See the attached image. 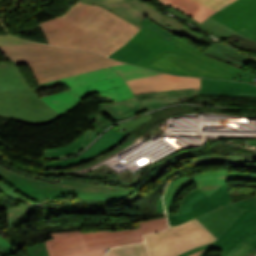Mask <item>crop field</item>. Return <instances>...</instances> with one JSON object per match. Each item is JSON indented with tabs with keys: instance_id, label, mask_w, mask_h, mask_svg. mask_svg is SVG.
Wrapping results in <instances>:
<instances>
[{
	"instance_id": "c035e120",
	"label": "crop field",
	"mask_w": 256,
	"mask_h": 256,
	"mask_svg": "<svg viewBox=\"0 0 256 256\" xmlns=\"http://www.w3.org/2000/svg\"><path fill=\"white\" fill-rule=\"evenodd\" d=\"M204 251V250H203ZM203 251H199V252H197V253H194V254H192V255H190V256H198L201 252H203Z\"/></svg>"
},
{
	"instance_id": "5866460e",
	"label": "crop field",
	"mask_w": 256,
	"mask_h": 256,
	"mask_svg": "<svg viewBox=\"0 0 256 256\" xmlns=\"http://www.w3.org/2000/svg\"><path fill=\"white\" fill-rule=\"evenodd\" d=\"M29 256H48L44 242L27 247Z\"/></svg>"
},
{
	"instance_id": "750c4746",
	"label": "crop field",
	"mask_w": 256,
	"mask_h": 256,
	"mask_svg": "<svg viewBox=\"0 0 256 256\" xmlns=\"http://www.w3.org/2000/svg\"><path fill=\"white\" fill-rule=\"evenodd\" d=\"M33 206L34 205L7 209V218H8L9 228H12L13 225L19 219H21Z\"/></svg>"
},
{
	"instance_id": "dd49c442",
	"label": "crop field",
	"mask_w": 256,
	"mask_h": 256,
	"mask_svg": "<svg viewBox=\"0 0 256 256\" xmlns=\"http://www.w3.org/2000/svg\"><path fill=\"white\" fill-rule=\"evenodd\" d=\"M145 31L159 38L180 52L165 50L145 63L143 67L186 76L211 77L232 80L236 73L197 57L171 41L143 27Z\"/></svg>"
},
{
	"instance_id": "733c2abd",
	"label": "crop field",
	"mask_w": 256,
	"mask_h": 256,
	"mask_svg": "<svg viewBox=\"0 0 256 256\" xmlns=\"http://www.w3.org/2000/svg\"><path fill=\"white\" fill-rule=\"evenodd\" d=\"M128 135L109 130L103 137L97 140L86 152L77 158L67 159L57 163L43 166L65 167L73 166L94 159L118 146Z\"/></svg>"
},
{
	"instance_id": "ae1a2a85",
	"label": "crop field",
	"mask_w": 256,
	"mask_h": 256,
	"mask_svg": "<svg viewBox=\"0 0 256 256\" xmlns=\"http://www.w3.org/2000/svg\"><path fill=\"white\" fill-rule=\"evenodd\" d=\"M112 68L115 71H117L124 78V80L161 74V73L153 72L147 69L134 67L128 64L113 66Z\"/></svg>"
},
{
	"instance_id": "e52e79f7",
	"label": "crop field",
	"mask_w": 256,
	"mask_h": 256,
	"mask_svg": "<svg viewBox=\"0 0 256 256\" xmlns=\"http://www.w3.org/2000/svg\"><path fill=\"white\" fill-rule=\"evenodd\" d=\"M217 239L196 219L164 232L145 236L150 256H178Z\"/></svg>"
},
{
	"instance_id": "bd1437ed",
	"label": "crop field",
	"mask_w": 256,
	"mask_h": 256,
	"mask_svg": "<svg viewBox=\"0 0 256 256\" xmlns=\"http://www.w3.org/2000/svg\"><path fill=\"white\" fill-rule=\"evenodd\" d=\"M140 23L171 41L177 38L176 35H174L170 31L166 30L165 28H163L162 26L158 25L157 23L153 22L148 18L142 20Z\"/></svg>"
},
{
	"instance_id": "eef30255",
	"label": "crop field",
	"mask_w": 256,
	"mask_h": 256,
	"mask_svg": "<svg viewBox=\"0 0 256 256\" xmlns=\"http://www.w3.org/2000/svg\"><path fill=\"white\" fill-rule=\"evenodd\" d=\"M105 256H148L144 243L112 248Z\"/></svg>"
},
{
	"instance_id": "bc2a9ffb",
	"label": "crop field",
	"mask_w": 256,
	"mask_h": 256,
	"mask_svg": "<svg viewBox=\"0 0 256 256\" xmlns=\"http://www.w3.org/2000/svg\"><path fill=\"white\" fill-rule=\"evenodd\" d=\"M202 53L241 69H244L250 61L256 62V59L250 58L222 42L216 43Z\"/></svg>"
},
{
	"instance_id": "1d83c4d3",
	"label": "crop field",
	"mask_w": 256,
	"mask_h": 256,
	"mask_svg": "<svg viewBox=\"0 0 256 256\" xmlns=\"http://www.w3.org/2000/svg\"><path fill=\"white\" fill-rule=\"evenodd\" d=\"M0 192H2L4 195L8 196L9 198L18 201L21 205H27L35 203L33 201H30L19 194H17L15 191H13L11 188L6 186L4 183L0 181Z\"/></svg>"
},
{
	"instance_id": "dafd665d",
	"label": "crop field",
	"mask_w": 256,
	"mask_h": 256,
	"mask_svg": "<svg viewBox=\"0 0 256 256\" xmlns=\"http://www.w3.org/2000/svg\"><path fill=\"white\" fill-rule=\"evenodd\" d=\"M131 41L141 45L142 47L152 51L153 53L150 54L148 57L143 59L141 62H139L137 65L141 66L148 60H150L152 57L157 55L159 52H161L164 49L174 50L170 46L166 45L159 39L155 38L154 36L150 35L149 33L143 31L140 29V31L131 38Z\"/></svg>"
},
{
	"instance_id": "e1f06a70",
	"label": "crop field",
	"mask_w": 256,
	"mask_h": 256,
	"mask_svg": "<svg viewBox=\"0 0 256 256\" xmlns=\"http://www.w3.org/2000/svg\"><path fill=\"white\" fill-rule=\"evenodd\" d=\"M30 43L29 41L13 37V36H0V45Z\"/></svg>"
},
{
	"instance_id": "5142ce71",
	"label": "crop field",
	"mask_w": 256,
	"mask_h": 256,
	"mask_svg": "<svg viewBox=\"0 0 256 256\" xmlns=\"http://www.w3.org/2000/svg\"><path fill=\"white\" fill-rule=\"evenodd\" d=\"M126 83L129 85L135 95L159 90L200 87V78L162 74L127 80Z\"/></svg>"
},
{
	"instance_id": "3316defc",
	"label": "crop field",
	"mask_w": 256,
	"mask_h": 256,
	"mask_svg": "<svg viewBox=\"0 0 256 256\" xmlns=\"http://www.w3.org/2000/svg\"><path fill=\"white\" fill-rule=\"evenodd\" d=\"M0 115L29 124H46L61 117L34 91L0 94Z\"/></svg>"
},
{
	"instance_id": "214f88e0",
	"label": "crop field",
	"mask_w": 256,
	"mask_h": 256,
	"mask_svg": "<svg viewBox=\"0 0 256 256\" xmlns=\"http://www.w3.org/2000/svg\"><path fill=\"white\" fill-rule=\"evenodd\" d=\"M167 10L169 12L179 16L180 18H182V19H184V20H186V21H188V22H190V23H192V24H194V25H196V26H198V27H200V28H202V29H204V30H206V31L216 35V36H218V37H220L221 39H223L225 37H228V36H230L232 34H235L237 36H240V37H243L245 39H248V38H246V37L236 33V31H234V30L224 26L223 24L217 22L216 20H214V19H212L210 17L200 24V23L192 20L187 15H185L184 13L178 11L177 9H175L173 7H170ZM248 40H250V39H248ZM250 41H253V42L256 43V41H254V40H250Z\"/></svg>"
},
{
	"instance_id": "34b2d1b8",
	"label": "crop field",
	"mask_w": 256,
	"mask_h": 256,
	"mask_svg": "<svg viewBox=\"0 0 256 256\" xmlns=\"http://www.w3.org/2000/svg\"><path fill=\"white\" fill-rule=\"evenodd\" d=\"M196 219L218 239L180 256L203 249L206 250L199 256L212 249L222 251L220 256H227L241 241L256 248V197L228 204Z\"/></svg>"
},
{
	"instance_id": "00972430",
	"label": "crop field",
	"mask_w": 256,
	"mask_h": 256,
	"mask_svg": "<svg viewBox=\"0 0 256 256\" xmlns=\"http://www.w3.org/2000/svg\"><path fill=\"white\" fill-rule=\"evenodd\" d=\"M150 53L152 52L129 41L109 57L135 65Z\"/></svg>"
},
{
	"instance_id": "b80d0937",
	"label": "crop field",
	"mask_w": 256,
	"mask_h": 256,
	"mask_svg": "<svg viewBox=\"0 0 256 256\" xmlns=\"http://www.w3.org/2000/svg\"><path fill=\"white\" fill-rule=\"evenodd\" d=\"M156 209H157L158 212H164L163 204H162V198H159L158 205H157Z\"/></svg>"
},
{
	"instance_id": "730fd06b",
	"label": "crop field",
	"mask_w": 256,
	"mask_h": 256,
	"mask_svg": "<svg viewBox=\"0 0 256 256\" xmlns=\"http://www.w3.org/2000/svg\"><path fill=\"white\" fill-rule=\"evenodd\" d=\"M137 30L138 28L131 24L118 38L111 36L97 52L106 56L109 55L127 42Z\"/></svg>"
},
{
	"instance_id": "22f410ed",
	"label": "crop field",
	"mask_w": 256,
	"mask_h": 256,
	"mask_svg": "<svg viewBox=\"0 0 256 256\" xmlns=\"http://www.w3.org/2000/svg\"><path fill=\"white\" fill-rule=\"evenodd\" d=\"M228 203H230V197L227 184L221 186L209 197L199 189H195L185 195L176 215L167 214L169 225H178Z\"/></svg>"
},
{
	"instance_id": "120bbe31",
	"label": "crop field",
	"mask_w": 256,
	"mask_h": 256,
	"mask_svg": "<svg viewBox=\"0 0 256 256\" xmlns=\"http://www.w3.org/2000/svg\"><path fill=\"white\" fill-rule=\"evenodd\" d=\"M205 7L218 11L235 0H193Z\"/></svg>"
},
{
	"instance_id": "d32e631a",
	"label": "crop field",
	"mask_w": 256,
	"mask_h": 256,
	"mask_svg": "<svg viewBox=\"0 0 256 256\" xmlns=\"http://www.w3.org/2000/svg\"><path fill=\"white\" fill-rule=\"evenodd\" d=\"M254 248L240 243L228 256H254Z\"/></svg>"
},
{
	"instance_id": "5a996713",
	"label": "crop field",
	"mask_w": 256,
	"mask_h": 256,
	"mask_svg": "<svg viewBox=\"0 0 256 256\" xmlns=\"http://www.w3.org/2000/svg\"><path fill=\"white\" fill-rule=\"evenodd\" d=\"M199 89L169 90L136 95L118 103H100V111L116 121L146 110L150 111L174 103H187L188 98L195 99V96H199Z\"/></svg>"
},
{
	"instance_id": "4a817a6b",
	"label": "crop field",
	"mask_w": 256,
	"mask_h": 256,
	"mask_svg": "<svg viewBox=\"0 0 256 256\" xmlns=\"http://www.w3.org/2000/svg\"><path fill=\"white\" fill-rule=\"evenodd\" d=\"M32 90L16 64L0 65V93Z\"/></svg>"
},
{
	"instance_id": "4177f3b9",
	"label": "crop field",
	"mask_w": 256,
	"mask_h": 256,
	"mask_svg": "<svg viewBox=\"0 0 256 256\" xmlns=\"http://www.w3.org/2000/svg\"><path fill=\"white\" fill-rule=\"evenodd\" d=\"M100 132L88 130L76 141L64 147L49 148L45 149V156H58L69 153L79 147L85 148L89 143H91L95 138L99 136Z\"/></svg>"
},
{
	"instance_id": "d1516ede",
	"label": "crop field",
	"mask_w": 256,
	"mask_h": 256,
	"mask_svg": "<svg viewBox=\"0 0 256 256\" xmlns=\"http://www.w3.org/2000/svg\"><path fill=\"white\" fill-rule=\"evenodd\" d=\"M140 228L116 232L99 231L82 233L87 249H102L143 241V234L166 229V217L139 223Z\"/></svg>"
},
{
	"instance_id": "cbeb9de0",
	"label": "crop field",
	"mask_w": 256,
	"mask_h": 256,
	"mask_svg": "<svg viewBox=\"0 0 256 256\" xmlns=\"http://www.w3.org/2000/svg\"><path fill=\"white\" fill-rule=\"evenodd\" d=\"M210 17L237 31H251L256 28V0H236Z\"/></svg>"
},
{
	"instance_id": "412701ff",
	"label": "crop field",
	"mask_w": 256,
	"mask_h": 256,
	"mask_svg": "<svg viewBox=\"0 0 256 256\" xmlns=\"http://www.w3.org/2000/svg\"><path fill=\"white\" fill-rule=\"evenodd\" d=\"M58 85L66 86L71 90L41 98L60 115L72 109L89 93L99 92L100 95L110 97L113 102L126 100L134 96L120 75L110 67L38 85L37 90Z\"/></svg>"
},
{
	"instance_id": "f4fd0767",
	"label": "crop field",
	"mask_w": 256,
	"mask_h": 256,
	"mask_svg": "<svg viewBox=\"0 0 256 256\" xmlns=\"http://www.w3.org/2000/svg\"><path fill=\"white\" fill-rule=\"evenodd\" d=\"M0 176L40 202L45 198L66 199L72 197L86 200H112L116 202L133 192L113 186L75 180H61L57 183H49L19 175L4 168L2 165H0Z\"/></svg>"
},
{
	"instance_id": "d3111659",
	"label": "crop field",
	"mask_w": 256,
	"mask_h": 256,
	"mask_svg": "<svg viewBox=\"0 0 256 256\" xmlns=\"http://www.w3.org/2000/svg\"><path fill=\"white\" fill-rule=\"evenodd\" d=\"M172 42L178 44L179 46L183 47L184 49L190 51L191 53H193V54H195V55H197V56H200V57H203V58H205V59H207V60H210V61H212V62H214V63H216V64H219V65H221V66H223V67H225V68H228V69H230V70H232V71H234V72H236V73H238V72L240 71V69H238V68H236V67H234V66H231V65H229V64L220 62V61H218V60H216V59H213V58H211V57H208V56L202 54L199 50L193 48L192 46L188 45L187 43L183 42L182 40H180V39H178V38L175 39V40L172 41Z\"/></svg>"
},
{
	"instance_id": "028f5c9d",
	"label": "crop field",
	"mask_w": 256,
	"mask_h": 256,
	"mask_svg": "<svg viewBox=\"0 0 256 256\" xmlns=\"http://www.w3.org/2000/svg\"><path fill=\"white\" fill-rule=\"evenodd\" d=\"M200 94L223 95V96H250V97H256L255 93H238V92L200 91Z\"/></svg>"
},
{
	"instance_id": "ac0d7876",
	"label": "crop field",
	"mask_w": 256,
	"mask_h": 256,
	"mask_svg": "<svg viewBox=\"0 0 256 256\" xmlns=\"http://www.w3.org/2000/svg\"><path fill=\"white\" fill-rule=\"evenodd\" d=\"M0 47L2 53L15 61L17 65H29L38 84L108 66L123 64L96 53L39 43Z\"/></svg>"
},
{
	"instance_id": "a9b5d70f",
	"label": "crop field",
	"mask_w": 256,
	"mask_h": 256,
	"mask_svg": "<svg viewBox=\"0 0 256 256\" xmlns=\"http://www.w3.org/2000/svg\"><path fill=\"white\" fill-rule=\"evenodd\" d=\"M202 90L255 92L256 86L240 82L202 78Z\"/></svg>"
},
{
	"instance_id": "0bd39190",
	"label": "crop field",
	"mask_w": 256,
	"mask_h": 256,
	"mask_svg": "<svg viewBox=\"0 0 256 256\" xmlns=\"http://www.w3.org/2000/svg\"><path fill=\"white\" fill-rule=\"evenodd\" d=\"M238 33H240L248 38L256 40V29L250 32L243 28L240 31H238Z\"/></svg>"
},
{
	"instance_id": "28ad6ade",
	"label": "crop field",
	"mask_w": 256,
	"mask_h": 256,
	"mask_svg": "<svg viewBox=\"0 0 256 256\" xmlns=\"http://www.w3.org/2000/svg\"><path fill=\"white\" fill-rule=\"evenodd\" d=\"M234 180L253 181L256 182V174H247L230 171H216L202 173L193 178L182 177L171 183L164 194V204L166 212L170 213L175 199L188 186L196 184V186L208 196L217 190L222 184Z\"/></svg>"
},
{
	"instance_id": "c21b1889",
	"label": "crop field",
	"mask_w": 256,
	"mask_h": 256,
	"mask_svg": "<svg viewBox=\"0 0 256 256\" xmlns=\"http://www.w3.org/2000/svg\"><path fill=\"white\" fill-rule=\"evenodd\" d=\"M5 63H14V62H0V64H5Z\"/></svg>"
},
{
	"instance_id": "d8731c3e",
	"label": "crop field",
	"mask_w": 256,
	"mask_h": 256,
	"mask_svg": "<svg viewBox=\"0 0 256 256\" xmlns=\"http://www.w3.org/2000/svg\"><path fill=\"white\" fill-rule=\"evenodd\" d=\"M90 4H99L103 7L111 10L112 12L124 17L134 25L142 27L139 24L142 19L148 17L155 22L159 23L166 29L170 30L174 34L180 37H186L193 42L202 43L208 48L213 45L210 41L204 37L190 32L180 22L165 16L164 14L154 10L146 2H140L139 0H81ZM158 24V25H159Z\"/></svg>"
},
{
	"instance_id": "8a807250",
	"label": "crop field",
	"mask_w": 256,
	"mask_h": 256,
	"mask_svg": "<svg viewBox=\"0 0 256 256\" xmlns=\"http://www.w3.org/2000/svg\"><path fill=\"white\" fill-rule=\"evenodd\" d=\"M38 25L48 44L96 52L111 35L117 37L130 23L101 7L77 1L61 16Z\"/></svg>"
},
{
	"instance_id": "d9b57169",
	"label": "crop field",
	"mask_w": 256,
	"mask_h": 256,
	"mask_svg": "<svg viewBox=\"0 0 256 256\" xmlns=\"http://www.w3.org/2000/svg\"><path fill=\"white\" fill-rule=\"evenodd\" d=\"M45 242L49 256H103L107 249L87 251L81 232L52 234Z\"/></svg>"
},
{
	"instance_id": "92a150f3",
	"label": "crop field",
	"mask_w": 256,
	"mask_h": 256,
	"mask_svg": "<svg viewBox=\"0 0 256 256\" xmlns=\"http://www.w3.org/2000/svg\"><path fill=\"white\" fill-rule=\"evenodd\" d=\"M161 2L173 6L180 11L187 14L189 17L199 21L200 23L212 15L213 11L208 8H204L190 0H160Z\"/></svg>"
}]
</instances>
